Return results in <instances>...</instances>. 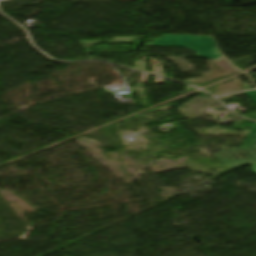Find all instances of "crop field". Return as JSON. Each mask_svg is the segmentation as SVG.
<instances>
[{"label": "crop field", "instance_id": "obj_1", "mask_svg": "<svg viewBox=\"0 0 256 256\" xmlns=\"http://www.w3.org/2000/svg\"><path fill=\"white\" fill-rule=\"evenodd\" d=\"M150 46L181 47L196 52L197 57L209 60L222 57L211 36L167 35Z\"/></svg>", "mask_w": 256, "mask_h": 256}, {"label": "crop field", "instance_id": "obj_3", "mask_svg": "<svg viewBox=\"0 0 256 256\" xmlns=\"http://www.w3.org/2000/svg\"><path fill=\"white\" fill-rule=\"evenodd\" d=\"M242 86H243V89H244V90L250 89L248 83H243Z\"/></svg>", "mask_w": 256, "mask_h": 256}, {"label": "crop field", "instance_id": "obj_2", "mask_svg": "<svg viewBox=\"0 0 256 256\" xmlns=\"http://www.w3.org/2000/svg\"><path fill=\"white\" fill-rule=\"evenodd\" d=\"M221 152L222 153L214 154L213 156L228 168L236 169L256 164V151L244 152L241 150H236Z\"/></svg>", "mask_w": 256, "mask_h": 256}]
</instances>
